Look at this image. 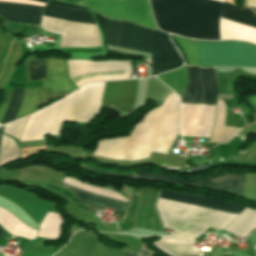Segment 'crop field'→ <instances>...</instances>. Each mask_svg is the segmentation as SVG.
Returning <instances> with one entry per match:
<instances>
[{"label": "crop field", "mask_w": 256, "mask_h": 256, "mask_svg": "<svg viewBox=\"0 0 256 256\" xmlns=\"http://www.w3.org/2000/svg\"><path fill=\"white\" fill-rule=\"evenodd\" d=\"M19 55V45L14 42L11 52L6 60L5 68L3 74L0 76V89L4 86L8 78L10 77L12 70L14 68V63Z\"/></svg>", "instance_id": "obj_21"}, {"label": "crop field", "mask_w": 256, "mask_h": 256, "mask_svg": "<svg viewBox=\"0 0 256 256\" xmlns=\"http://www.w3.org/2000/svg\"><path fill=\"white\" fill-rule=\"evenodd\" d=\"M78 4L89 6L109 18L129 19L157 29L148 0H85Z\"/></svg>", "instance_id": "obj_8"}, {"label": "crop field", "mask_w": 256, "mask_h": 256, "mask_svg": "<svg viewBox=\"0 0 256 256\" xmlns=\"http://www.w3.org/2000/svg\"><path fill=\"white\" fill-rule=\"evenodd\" d=\"M255 228L256 211L245 208L223 230L243 238Z\"/></svg>", "instance_id": "obj_17"}, {"label": "crop field", "mask_w": 256, "mask_h": 256, "mask_svg": "<svg viewBox=\"0 0 256 256\" xmlns=\"http://www.w3.org/2000/svg\"><path fill=\"white\" fill-rule=\"evenodd\" d=\"M225 112H226V106H225L223 100H218L216 120L214 123L211 140H215V141L220 140V138L222 136L223 128H224ZM239 130H240L239 128L225 126L223 136H222L220 142L228 141ZM212 142H214V141H212Z\"/></svg>", "instance_id": "obj_18"}, {"label": "crop field", "mask_w": 256, "mask_h": 256, "mask_svg": "<svg viewBox=\"0 0 256 256\" xmlns=\"http://www.w3.org/2000/svg\"><path fill=\"white\" fill-rule=\"evenodd\" d=\"M253 247H254V249L256 250V244H255Z\"/></svg>", "instance_id": "obj_30"}, {"label": "crop field", "mask_w": 256, "mask_h": 256, "mask_svg": "<svg viewBox=\"0 0 256 256\" xmlns=\"http://www.w3.org/2000/svg\"><path fill=\"white\" fill-rule=\"evenodd\" d=\"M46 62L50 77L41 80L42 88H24L16 119L37 111L36 105L47 99L63 91L68 95L78 88L68 77L66 61L48 58Z\"/></svg>", "instance_id": "obj_6"}, {"label": "crop field", "mask_w": 256, "mask_h": 256, "mask_svg": "<svg viewBox=\"0 0 256 256\" xmlns=\"http://www.w3.org/2000/svg\"><path fill=\"white\" fill-rule=\"evenodd\" d=\"M138 80L103 83L100 104L132 112Z\"/></svg>", "instance_id": "obj_12"}, {"label": "crop field", "mask_w": 256, "mask_h": 256, "mask_svg": "<svg viewBox=\"0 0 256 256\" xmlns=\"http://www.w3.org/2000/svg\"><path fill=\"white\" fill-rule=\"evenodd\" d=\"M161 199L231 212L239 214L244 208L240 207L238 205L230 204L227 202L220 201L218 199H210L205 198L203 196H195V195H188V194H178L169 192L166 190L160 191V197Z\"/></svg>", "instance_id": "obj_13"}, {"label": "crop field", "mask_w": 256, "mask_h": 256, "mask_svg": "<svg viewBox=\"0 0 256 256\" xmlns=\"http://www.w3.org/2000/svg\"><path fill=\"white\" fill-rule=\"evenodd\" d=\"M65 2L78 3L81 0H63Z\"/></svg>", "instance_id": "obj_27"}, {"label": "crop field", "mask_w": 256, "mask_h": 256, "mask_svg": "<svg viewBox=\"0 0 256 256\" xmlns=\"http://www.w3.org/2000/svg\"><path fill=\"white\" fill-rule=\"evenodd\" d=\"M0 256H3V254L0 253Z\"/></svg>", "instance_id": "obj_32"}, {"label": "crop field", "mask_w": 256, "mask_h": 256, "mask_svg": "<svg viewBox=\"0 0 256 256\" xmlns=\"http://www.w3.org/2000/svg\"><path fill=\"white\" fill-rule=\"evenodd\" d=\"M216 1H221V2H223L224 0H216Z\"/></svg>", "instance_id": "obj_31"}, {"label": "crop field", "mask_w": 256, "mask_h": 256, "mask_svg": "<svg viewBox=\"0 0 256 256\" xmlns=\"http://www.w3.org/2000/svg\"><path fill=\"white\" fill-rule=\"evenodd\" d=\"M82 167H84V168H86V169L95 170V171H98V172L110 174V175H115V176L135 177L134 175H120V174L108 173V172L100 171V170L93 169V168H90V167H87V166H83V165H82Z\"/></svg>", "instance_id": "obj_25"}, {"label": "crop field", "mask_w": 256, "mask_h": 256, "mask_svg": "<svg viewBox=\"0 0 256 256\" xmlns=\"http://www.w3.org/2000/svg\"><path fill=\"white\" fill-rule=\"evenodd\" d=\"M43 14L77 22L95 23L88 8L74 6L49 0ZM66 21L44 16L41 27L43 30L57 34L62 33ZM100 36L95 24L67 21L61 36L60 47L100 46Z\"/></svg>", "instance_id": "obj_5"}, {"label": "crop field", "mask_w": 256, "mask_h": 256, "mask_svg": "<svg viewBox=\"0 0 256 256\" xmlns=\"http://www.w3.org/2000/svg\"><path fill=\"white\" fill-rule=\"evenodd\" d=\"M177 43L184 50L188 64H199L197 48L192 39H184L173 35Z\"/></svg>", "instance_id": "obj_19"}, {"label": "crop field", "mask_w": 256, "mask_h": 256, "mask_svg": "<svg viewBox=\"0 0 256 256\" xmlns=\"http://www.w3.org/2000/svg\"><path fill=\"white\" fill-rule=\"evenodd\" d=\"M135 175L140 178L165 180V181L175 182L179 184H193V185H200V186L215 187V188H219L222 190H226L233 193H239V194H242V191H243L244 173H239V174L226 173V174H222L214 177L192 179V180H179V179L161 175V174L145 173V172H136Z\"/></svg>", "instance_id": "obj_11"}, {"label": "crop field", "mask_w": 256, "mask_h": 256, "mask_svg": "<svg viewBox=\"0 0 256 256\" xmlns=\"http://www.w3.org/2000/svg\"><path fill=\"white\" fill-rule=\"evenodd\" d=\"M0 237H4L3 229L0 228Z\"/></svg>", "instance_id": "obj_28"}, {"label": "crop field", "mask_w": 256, "mask_h": 256, "mask_svg": "<svg viewBox=\"0 0 256 256\" xmlns=\"http://www.w3.org/2000/svg\"><path fill=\"white\" fill-rule=\"evenodd\" d=\"M159 29L197 39H220L223 4L210 0H151Z\"/></svg>", "instance_id": "obj_2"}, {"label": "crop field", "mask_w": 256, "mask_h": 256, "mask_svg": "<svg viewBox=\"0 0 256 256\" xmlns=\"http://www.w3.org/2000/svg\"><path fill=\"white\" fill-rule=\"evenodd\" d=\"M95 13L107 35V44L151 54L153 75L182 65L168 34Z\"/></svg>", "instance_id": "obj_4"}, {"label": "crop field", "mask_w": 256, "mask_h": 256, "mask_svg": "<svg viewBox=\"0 0 256 256\" xmlns=\"http://www.w3.org/2000/svg\"><path fill=\"white\" fill-rule=\"evenodd\" d=\"M73 94L30 115L20 142L43 139V134H58Z\"/></svg>", "instance_id": "obj_9"}, {"label": "crop field", "mask_w": 256, "mask_h": 256, "mask_svg": "<svg viewBox=\"0 0 256 256\" xmlns=\"http://www.w3.org/2000/svg\"><path fill=\"white\" fill-rule=\"evenodd\" d=\"M201 66L227 65L256 67V46L238 42H196Z\"/></svg>", "instance_id": "obj_7"}, {"label": "crop field", "mask_w": 256, "mask_h": 256, "mask_svg": "<svg viewBox=\"0 0 256 256\" xmlns=\"http://www.w3.org/2000/svg\"><path fill=\"white\" fill-rule=\"evenodd\" d=\"M151 254H152V251H150L147 247H145L142 244L138 254L125 251L123 256H150Z\"/></svg>", "instance_id": "obj_23"}, {"label": "crop field", "mask_w": 256, "mask_h": 256, "mask_svg": "<svg viewBox=\"0 0 256 256\" xmlns=\"http://www.w3.org/2000/svg\"><path fill=\"white\" fill-rule=\"evenodd\" d=\"M22 91H23V89L13 90L11 101H10L7 111L2 119L1 124L11 122L15 119L16 114L19 109V106H20V103H21Z\"/></svg>", "instance_id": "obj_20"}, {"label": "crop field", "mask_w": 256, "mask_h": 256, "mask_svg": "<svg viewBox=\"0 0 256 256\" xmlns=\"http://www.w3.org/2000/svg\"><path fill=\"white\" fill-rule=\"evenodd\" d=\"M29 72L31 76V81H36L38 79L46 77L44 60L31 61Z\"/></svg>", "instance_id": "obj_22"}, {"label": "crop field", "mask_w": 256, "mask_h": 256, "mask_svg": "<svg viewBox=\"0 0 256 256\" xmlns=\"http://www.w3.org/2000/svg\"><path fill=\"white\" fill-rule=\"evenodd\" d=\"M245 1L256 6V0ZM251 4L249 5L256 10V7ZM220 16L246 26L256 28V15L246 6L244 7V10H240L235 5L225 2Z\"/></svg>", "instance_id": "obj_16"}, {"label": "crop field", "mask_w": 256, "mask_h": 256, "mask_svg": "<svg viewBox=\"0 0 256 256\" xmlns=\"http://www.w3.org/2000/svg\"><path fill=\"white\" fill-rule=\"evenodd\" d=\"M156 197L157 191L154 189H137L130 186V205L126 210L125 219L131 222L134 228L163 232L154 208Z\"/></svg>", "instance_id": "obj_10"}, {"label": "crop field", "mask_w": 256, "mask_h": 256, "mask_svg": "<svg viewBox=\"0 0 256 256\" xmlns=\"http://www.w3.org/2000/svg\"><path fill=\"white\" fill-rule=\"evenodd\" d=\"M11 92H12V90L11 91H7L6 94H5V98H4L3 104L0 107V120H1V118H2L6 108L8 106L9 101H10Z\"/></svg>", "instance_id": "obj_24"}, {"label": "crop field", "mask_w": 256, "mask_h": 256, "mask_svg": "<svg viewBox=\"0 0 256 256\" xmlns=\"http://www.w3.org/2000/svg\"><path fill=\"white\" fill-rule=\"evenodd\" d=\"M60 186L66 187L70 189L72 192L76 193L80 198L82 205L92 207L95 209L106 211V209L109 208V209L121 211L127 204L126 202H122V201L101 196L98 194L90 193V192L69 187L66 185L60 184Z\"/></svg>", "instance_id": "obj_15"}, {"label": "crop field", "mask_w": 256, "mask_h": 256, "mask_svg": "<svg viewBox=\"0 0 256 256\" xmlns=\"http://www.w3.org/2000/svg\"><path fill=\"white\" fill-rule=\"evenodd\" d=\"M188 80L182 102L216 105L218 85L216 67L187 66ZM182 103L181 135L209 139L216 106Z\"/></svg>", "instance_id": "obj_3"}, {"label": "crop field", "mask_w": 256, "mask_h": 256, "mask_svg": "<svg viewBox=\"0 0 256 256\" xmlns=\"http://www.w3.org/2000/svg\"><path fill=\"white\" fill-rule=\"evenodd\" d=\"M179 99L171 91L163 104L148 112L128 137L100 141L96 155L141 160L156 151L167 154L177 138Z\"/></svg>", "instance_id": "obj_1"}, {"label": "crop field", "mask_w": 256, "mask_h": 256, "mask_svg": "<svg viewBox=\"0 0 256 256\" xmlns=\"http://www.w3.org/2000/svg\"><path fill=\"white\" fill-rule=\"evenodd\" d=\"M35 1H40V2H44V3L47 2V0H35Z\"/></svg>", "instance_id": "obj_29"}, {"label": "crop field", "mask_w": 256, "mask_h": 256, "mask_svg": "<svg viewBox=\"0 0 256 256\" xmlns=\"http://www.w3.org/2000/svg\"><path fill=\"white\" fill-rule=\"evenodd\" d=\"M41 9L40 6L0 2V17L6 21L39 25Z\"/></svg>", "instance_id": "obj_14"}, {"label": "crop field", "mask_w": 256, "mask_h": 256, "mask_svg": "<svg viewBox=\"0 0 256 256\" xmlns=\"http://www.w3.org/2000/svg\"><path fill=\"white\" fill-rule=\"evenodd\" d=\"M4 44H5V38L3 36V37H0V57H1L2 52H3Z\"/></svg>", "instance_id": "obj_26"}]
</instances>
